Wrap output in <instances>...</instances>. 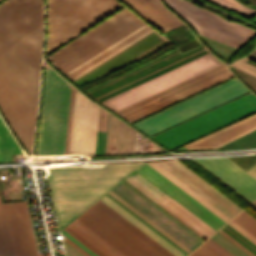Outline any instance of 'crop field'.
Segmentation results:
<instances>
[{"mask_svg":"<svg viewBox=\"0 0 256 256\" xmlns=\"http://www.w3.org/2000/svg\"><path fill=\"white\" fill-rule=\"evenodd\" d=\"M246 172H248L250 175H252L254 178H256V164L251 167L249 170H247Z\"/></svg>","mask_w":256,"mask_h":256,"instance_id":"43","label":"crop field"},{"mask_svg":"<svg viewBox=\"0 0 256 256\" xmlns=\"http://www.w3.org/2000/svg\"><path fill=\"white\" fill-rule=\"evenodd\" d=\"M255 22H256V20H255Z\"/></svg>","mask_w":256,"mask_h":256,"instance_id":"47","label":"crop field"},{"mask_svg":"<svg viewBox=\"0 0 256 256\" xmlns=\"http://www.w3.org/2000/svg\"><path fill=\"white\" fill-rule=\"evenodd\" d=\"M246 92L248 90L234 78L134 125L150 136Z\"/></svg>","mask_w":256,"mask_h":256,"instance_id":"7","label":"crop field"},{"mask_svg":"<svg viewBox=\"0 0 256 256\" xmlns=\"http://www.w3.org/2000/svg\"><path fill=\"white\" fill-rule=\"evenodd\" d=\"M208 1L215 3L221 7L232 9L247 18L253 15L254 13H256V10L248 9L242 6L241 4H239L235 0H208Z\"/></svg>","mask_w":256,"mask_h":256,"instance_id":"30","label":"crop field"},{"mask_svg":"<svg viewBox=\"0 0 256 256\" xmlns=\"http://www.w3.org/2000/svg\"><path fill=\"white\" fill-rule=\"evenodd\" d=\"M136 171L216 231L224 224V222H222L220 219H218L216 216L206 210L203 206H201L199 203L189 197L186 193H184L182 190H180L178 187H176L174 184H172L170 181H168L165 177H163L146 163L140 166Z\"/></svg>","mask_w":256,"mask_h":256,"instance_id":"19","label":"crop field"},{"mask_svg":"<svg viewBox=\"0 0 256 256\" xmlns=\"http://www.w3.org/2000/svg\"><path fill=\"white\" fill-rule=\"evenodd\" d=\"M232 228H234L236 231H238L240 234H242L244 237H246L248 240H250L253 244L256 245V238L253 237L251 234H249L247 231H245L243 228H241L239 225H237L232 220L227 223Z\"/></svg>","mask_w":256,"mask_h":256,"instance_id":"35","label":"crop field"},{"mask_svg":"<svg viewBox=\"0 0 256 256\" xmlns=\"http://www.w3.org/2000/svg\"><path fill=\"white\" fill-rule=\"evenodd\" d=\"M147 164H149L151 167H153L155 170H157L159 173H161L163 176H165L167 179H169L171 182H173L175 185H177L179 188H181L183 191H185L187 194H189L191 197H193L195 200H197L219 218H221L223 221L227 222L230 220L213 206H211L209 203H207L205 200H203L201 197H199L197 194H195L193 191H191L189 188H187L185 185H183L181 182H179L177 179H175L173 176H171L169 173H167L165 170H163L161 167H159L157 164H155L154 162H150Z\"/></svg>","mask_w":256,"mask_h":256,"instance_id":"25","label":"crop field"},{"mask_svg":"<svg viewBox=\"0 0 256 256\" xmlns=\"http://www.w3.org/2000/svg\"><path fill=\"white\" fill-rule=\"evenodd\" d=\"M246 57L256 61V48L253 51H251Z\"/></svg>","mask_w":256,"mask_h":256,"instance_id":"44","label":"crop field"},{"mask_svg":"<svg viewBox=\"0 0 256 256\" xmlns=\"http://www.w3.org/2000/svg\"><path fill=\"white\" fill-rule=\"evenodd\" d=\"M246 59H248V58H246V57L240 58V59L236 60L235 62H233L231 64V66H233V67H235V68H237L239 70H242V71H244V72H246L248 74H251V75L256 77V68L253 67V66H250V65H248V64H246L244 62H242V61H244Z\"/></svg>","mask_w":256,"mask_h":256,"instance_id":"33","label":"crop field"},{"mask_svg":"<svg viewBox=\"0 0 256 256\" xmlns=\"http://www.w3.org/2000/svg\"><path fill=\"white\" fill-rule=\"evenodd\" d=\"M219 64H221V62L208 53L100 103L116 112Z\"/></svg>","mask_w":256,"mask_h":256,"instance_id":"10","label":"crop field"},{"mask_svg":"<svg viewBox=\"0 0 256 256\" xmlns=\"http://www.w3.org/2000/svg\"><path fill=\"white\" fill-rule=\"evenodd\" d=\"M62 234L66 235L68 238H70L72 241H74L76 244H78L80 247H82L84 250H86L88 253H90L92 256H96L94 253H92L90 250H88L84 245H82L80 242H78L76 239H74L71 235H69L64 230L62 231Z\"/></svg>","mask_w":256,"mask_h":256,"instance_id":"41","label":"crop field"},{"mask_svg":"<svg viewBox=\"0 0 256 256\" xmlns=\"http://www.w3.org/2000/svg\"><path fill=\"white\" fill-rule=\"evenodd\" d=\"M3 208L14 256H38L26 201Z\"/></svg>","mask_w":256,"mask_h":256,"instance_id":"15","label":"crop field"},{"mask_svg":"<svg viewBox=\"0 0 256 256\" xmlns=\"http://www.w3.org/2000/svg\"><path fill=\"white\" fill-rule=\"evenodd\" d=\"M68 227L75 231L77 234H79L81 237H83L85 240H87L89 243H91L93 246H95L97 249H99L101 252H103L105 255L113 256L111 253H109L107 250H105L103 247H101L99 244H97L95 241H93L91 238H89L87 235H85L72 224L69 225Z\"/></svg>","mask_w":256,"mask_h":256,"instance_id":"34","label":"crop field"},{"mask_svg":"<svg viewBox=\"0 0 256 256\" xmlns=\"http://www.w3.org/2000/svg\"><path fill=\"white\" fill-rule=\"evenodd\" d=\"M158 164L230 219L242 210L179 161Z\"/></svg>","mask_w":256,"mask_h":256,"instance_id":"17","label":"crop field"},{"mask_svg":"<svg viewBox=\"0 0 256 256\" xmlns=\"http://www.w3.org/2000/svg\"><path fill=\"white\" fill-rule=\"evenodd\" d=\"M252 205L256 207V201H254V202L252 203Z\"/></svg>","mask_w":256,"mask_h":256,"instance_id":"46","label":"crop field"},{"mask_svg":"<svg viewBox=\"0 0 256 256\" xmlns=\"http://www.w3.org/2000/svg\"><path fill=\"white\" fill-rule=\"evenodd\" d=\"M206 53H208V51L202 46L183 54H181L176 48L143 66L102 83L85 92L96 101L100 102Z\"/></svg>","mask_w":256,"mask_h":256,"instance_id":"9","label":"crop field"},{"mask_svg":"<svg viewBox=\"0 0 256 256\" xmlns=\"http://www.w3.org/2000/svg\"><path fill=\"white\" fill-rule=\"evenodd\" d=\"M99 106L72 87L65 154L95 151Z\"/></svg>","mask_w":256,"mask_h":256,"instance_id":"12","label":"crop field"},{"mask_svg":"<svg viewBox=\"0 0 256 256\" xmlns=\"http://www.w3.org/2000/svg\"><path fill=\"white\" fill-rule=\"evenodd\" d=\"M193 160L247 201L256 198V179L225 156Z\"/></svg>","mask_w":256,"mask_h":256,"instance_id":"16","label":"crop field"},{"mask_svg":"<svg viewBox=\"0 0 256 256\" xmlns=\"http://www.w3.org/2000/svg\"><path fill=\"white\" fill-rule=\"evenodd\" d=\"M210 238H212L214 241H216L218 244H220L222 247H224L234 256H248L246 253H244L242 250H240L238 247H236L233 243H231L229 240H227L218 232L215 233Z\"/></svg>","mask_w":256,"mask_h":256,"instance_id":"32","label":"crop field"},{"mask_svg":"<svg viewBox=\"0 0 256 256\" xmlns=\"http://www.w3.org/2000/svg\"><path fill=\"white\" fill-rule=\"evenodd\" d=\"M68 233H70L72 236H74L76 239H78L80 242H82L84 245H86L88 248H90L92 251H94L99 256H105L103 253H101L99 250H97L95 247H93L91 244H89L87 241H85L83 238H81L79 235H77L75 232H73L68 227L65 228Z\"/></svg>","mask_w":256,"mask_h":256,"instance_id":"36","label":"crop field"},{"mask_svg":"<svg viewBox=\"0 0 256 256\" xmlns=\"http://www.w3.org/2000/svg\"><path fill=\"white\" fill-rule=\"evenodd\" d=\"M175 11H177L191 26L230 41L243 45L247 42L256 31L251 30L239 23L230 22L222 19L220 16L188 3L184 0H165ZM195 29V31L205 37L227 44L229 46L239 48L241 45Z\"/></svg>","mask_w":256,"mask_h":256,"instance_id":"11","label":"crop field"},{"mask_svg":"<svg viewBox=\"0 0 256 256\" xmlns=\"http://www.w3.org/2000/svg\"><path fill=\"white\" fill-rule=\"evenodd\" d=\"M125 180H127L137 189L142 191L156 203L162 205L164 208H166L168 211H170L172 214H174L176 217H178L180 220H182L184 223H186L188 226H190L204 238L207 239L214 232H216L136 171L132 172ZM211 231L213 232L212 234L210 233Z\"/></svg>","mask_w":256,"mask_h":256,"instance_id":"18","label":"crop field"},{"mask_svg":"<svg viewBox=\"0 0 256 256\" xmlns=\"http://www.w3.org/2000/svg\"><path fill=\"white\" fill-rule=\"evenodd\" d=\"M189 256H216V255H214L212 252H210L208 249H206L204 246L201 245Z\"/></svg>","mask_w":256,"mask_h":256,"instance_id":"38","label":"crop field"},{"mask_svg":"<svg viewBox=\"0 0 256 256\" xmlns=\"http://www.w3.org/2000/svg\"><path fill=\"white\" fill-rule=\"evenodd\" d=\"M255 111L256 97L249 93L152 138L171 150Z\"/></svg>","mask_w":256,"mask_h":256,"instance_id":"6","label":"crop field"},{"mask_svg":"<svg viewBox=\"0 0 256 256\" xmlns=\"http://www.w3.org/2000/svg\"><path fill=\"white\" fill-rule=\"evenodd\" d=\"M162 31L166 32L182 23L166 10L159 0H122Z\"/></svg>","mask_w":256,"mask_h":256,"instance_id":"21","label":"crop field"},{"mask_svg":"<svg viewBox=\"0 0 256 256\" xmlns=\"http://www.w3.org/2000/svg\"><path fill=\"white\" fill-rule=\"evenodd\" d=\"M206 244H208L210 247H212L214 250H216L218 253H220L222 256H233L228 251H226L224 248H222L220 245H218L216 242H214L212 239H208L205 241Z\"/></svg>","mask_w":256,"mask_h":256,"instance_id":"37","label":"crop field"},{"mask_svg":"<svg viewBox=\"0 0 256 256\" xmlns=\"http://www.w3.org/2000/svg\"><path fill=\"white\" fill-rule=\"evenodd\" d=\"M140 164L105 165L92 169L48 168L59 229H63Z\"/></svg>","mask_w":256,"mask_h":256,"instance_id":"3","label":"crop field"},{"mask_svg":"<svg viewBox=\"0 0 256 256\" xmlns=\"http://www.w3.org/2000/svg\"><path fill=\"white\" fill-rule=\"evenodd\" d=\"M204 245L206 248H208L210 251H212L214 254H216L217 256H221L220 254H218L216 251H214L212 248H210L208 245H206L205 243L202 244Z\"/></svg>","mask_w":256,"mask_h":256,"instance_id":"45","label":"crop field"},{"mask_svg":"<svg viewBox=\"0 0 256 256\" xmlns=\"http://www.w3.org/2000/svg\"><path fill=\"white\" fill-rule=\"evenodd\" d=\"M121 6L116 0H47L46 54Z\"/></svg>","mask_w":256,"mask_h":256,"instance_id":"4","label":"crop field"},{"mask_svg":"<svg viewBox=\"0 0 256 256\" xmlns=\"http://www.w3.org/2000/svg\"><path fill=\"white\" fill-rule=\"evenodd\" d=\"M234 76L223 64L116 112L132 123Z\"/></svg>","mask_w":256,"mask_h":256,"instance_id":"8","label":"crop field"},{"mask_svg":"<svg viewBox=\"0 0 256 256\" xmlns=\"http://www.w3.org/2000/svg\"><path fill=\"white\" fill-rule=\"evenodd\" d=\"M0 256H13L0 199Z\"/></svg>","mask_w":256,"mask_h":256,"instance_id":"27","label":"crop field"},{"mask_svg":"<svg viewBox=\"0 0 256 256\" xmlns=\"http://www.w3.org/2000/svg\"><path fill=\"white\" fill-rule=\"evenodd\" d=\"M256 129V114L185 145L187 149L219 148Z\"/></svg>","mask_w":256,"mask_h":256,"instance_id":"20","label":"crop field"},{"mask_svg":"<svg viewBox=\"0 0 256 256\" xmlns=\"http://www.w3.org/2000/svg\"><path fill=\"white\" fill-rule=\"evenodd\" d=\"M224 227L225 228H222L218 232L225 236L227 239H229L231 242H233L236 246H238L248 255L256 256L255 245H253L250 241H248L246 238H244L242 235H240L227 224Z\"/></svg>","mask_w":256,"mask_h":256,"instance_id":"26","label":"crop field"},{"mask_svg":"<svg viewBox=\"0 0 256 256\" xmlns=\"http://www.w3.org/2000/svg\"><path fill=\"white\" fill-rule=\"evenodd\" d=\"M65 238V241H66V237L64 236ZM67 242L72 245L74 248H76L79 252H81L83 255L85 256H90L88 253H86L84 250H82L80 247H78L76 244H74L72 241H70L68 238H67Z\"/></svg>","mask_w":256,"mask_h":256,"instance_id":"42","label":"crop field"},{"mask_svg":"<svg viewBox=\"0 0 256 256\" xmlns=\"http://www.w3.org/2000/svg\"><path fill=\"white\" fill-rule=\"evenodd\" d=\"M77 219L125 256H161L94 205Z\"/></svg>","mask_w":256,"mask_h":256,"instance_id":"14","label":"crop field"},{"mask_svg":"<svg viewBox=\"0 0 256 256\" xmlns=\"http://www.w3.org/2000/svg\"><path fill=\"white\" fill-rule=\"evenodd\" d=\"M124 9L127 10L126 8ZM125 10H121L122 12H118L119 14L116 13L117 15H113L114 17H110L111 19L108 18V21L105 20V23L102 22L103 24H99L100 26L97 25V28L94 27V30L91 29L92 31H88L89 33H85L86 35L83 34L84 36H80L81 38H77L78 40L74 41L73 43H69L70 45L66 46L63 50L52 56L50 59L60 70L68 75L110 47L114 46L124 38L128 37L138 29L145 26V22L127 10L129 13L144 23L142 24ZM147 26L150 27L149 25ZM148 27L145 26L138 30L128 38L124 39L114 47L110 48L68 76L71 77L79 85H81L89 80H92L100 75H103L137 59L141 55L145 54L166 40V42L141 56L137 60L172 43L165 35L162 37L166 40L160 37V34V36L157 35L155 30L154 31L156 33L153 32L151 27L150 28L152 30H150Z\"/></svg>","mask_w":256,"mask_h":256,"instance_id":"1","label":"crop field"},{"mask_svg":"<svg viewBox=\"0 0 256 256\" xmlns=\"http://www.w3.org/2000/svg\"><path fill=\"white\" fill-rule=\"evenodd\" d=\"M72 224L79 228L81 231H83L85 234H87L89 237H91L93 240H95L97 243H99L101 246H103L105 249H107L109 252H111L113 255L124 256L122 253L112 247L109 243H107L105 240H103L101 237H99L77 219Z\"/></svg>","mask_w":256,"mask_h":256,"instance_id":"29","label":"crop field"},{"mask_svg":"<svg viewBox=\"0 0 256 256\" xmlns=\"http://www.w3.org/2000/svg\"><path fill=\"white\" fill-rule=\"evenodd\" d=\"M70 90L71 84L46 65L36 156L64 155Z\"/></svg>","mask_w":256,"mask_h":256,"instance_id":"5","label":"crop field"},{"mask_svg":"<svg viewBox=\"0 0 256 256\" xmlns=\"http://www.w3.org/2000/svg\"><path fill=\"white\" fill-rule=\"evenodd\" d=\"M43 0H6L0 5V55L42 24Z\"/></svg>","mask_w":256,"mask_h":256,"instance_id":"13","label":"crop field"},{"mask_svg":"<svg viewBox=\"0 0 256 256\" xmlns=\"http://www.w3.org/2000/svg\"><path fill=\"white\" fill-rule=\"evenodd\" d=\"M66 256H83L78 251H76L74 248H72L70 245H68L65 241H63Z\"/></svg>","mask_w":256,"mask_h":256,"instance_id":"40","label":"crop field"},{"mask_svg":"<svg viewBox=\"0 0 256 256\" xmlns=\"http://www.w3.org/2000/svg\"><path fill=\"white\" fill-rule=\"evenodd\" d=\"M43 24L0 57V109L31 152Z\"/></svg>","mask_w":256,"mask_h":256,"instance_id":"2","label":"crop field"},{"mask_svg":"<svg viewBox=\"0 0 256 256\" xmlns=\"http://www.w3.org/2000/svg\"><path fill=\"white\" fill-rule=\"evenodd\" d=\"M232 220H234L236 223H238L240 226H242L256 237V219L249 215L247 212L243 210Z\"/></svg>","mask_w":256,"mask_h":256,"instance_id":"31","label":"crop field"},{"mask_svg":"<svg viewBox=\"0 0 256 256\" xmlns=\"http://www.w3.org/2000/svg\"><path fill=\"white\" fill-rule=\"evenodd\" d=\"M107 122H108V112H106L104 109L101 108L98 128H106Z\"/></svg>","mask_w":256,"mask_h":256,"instance_id":"39","label":"crop field"},{"mask_svg":"<svg viewBox=\"0 0 256 256\" xmlns=\"http://www.w3.org/2000/svg\"><path fill=\"white\" fill-rule=\"evenodd\" d=\"M108 194H110L112 197H114L116 200H118L120 203H122L124 206H126L128 209H130L132 212H134L136 215H138L140 218H142L144 221H146L148 224H150L152 227H154L156 230H158L160 233H162L164 236H166L168 239H170L180 248H182L184 251H186L187 253L191 251L187 247H185L183 244H181L179 241H177L175 238H173L171 235H169L167 232H165L156 224H154L152 221H150L148 218H146L144 215H142L140 212H138L129 204H127L125 201H123L121 198H119L117 195H115L113 192L110 191Z\"/></svg>","mask_w":256,"mask_h":256,"instance_id":"28","label":"crop field"},{"mask_svg":"<svg viewBox=\"0 0 256 256\" xmlns=\"http://www.w3.org/2000/svg\"><path fill=\"white\" fill-rule=\"evenodd\" d=\"M100 200H102L104 203H106L116 212L121 214L123 217H125L127 220H129L131 223H133L135 226H137L139 229H141L151 238H153L156 242H158L160 245L166 248L173 255L186 256L185 254H183L181 251H179L177 248H175L173 245H171L169 242H167L165 239H163L161 236H159L157 233H155L153 230H151L149 227H147L145 224H143L141 221H139L137 218H135L133 215H131L129 212H127L125 209H123L121 206H119L117 203H115L106 195Z\"/></svg>","mask_w":256,"mask_h":256,"instance_id":"22","label":"crop field"},{"mask_svg":"<svg viewBox=\"0 0 256 256\" xmlns=\"http://www.w3.org/2000/svg\"><path fill=\"white\" fill-rule=\"evenodd\" d=\"M13 155H23L0 119V161H14Z\"/></svg>","mask_w":256,"mask_h":256,"instance_id":"24","label":"crop field"},{"mask_svg":"<svg viewBox=\"0 0 256 256\" xmlns=\"http://www.w3.org/2000/svg\"><path fill=\"white\" fill-rule=\"evenodd\" d=\"M94 205L101 209L103 212H105L107 215H109L111 218H113L115 221H117L119 224H121L123 227H125L127 230H129L131 233H133L135 236H137L139 239H141L143 242H145L147 245H149L151 248H153L155 251H157L159 254H161L162 256H173L166 249H164L153 239H151L149 236H147L145 233H143L141 230H139L125 218L120 216L118 213H116L102 201L99 200Z\"/></svg>","mask_w":256,"mask_h":256,"instance_id":"23","label":"crop field"}]
</instances>
